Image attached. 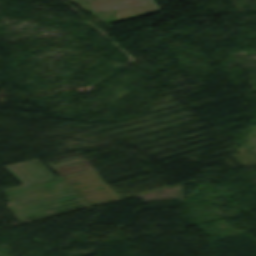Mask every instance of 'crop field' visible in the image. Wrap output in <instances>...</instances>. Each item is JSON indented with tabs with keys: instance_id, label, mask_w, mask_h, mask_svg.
Wrapping results in <instances>:
<instances>
[{
	"instance_id": "crop-field-1",
	"label": "crop field",
	"mask_w": 256,
	"mask_h": 256,
	"mask_svg": "<svg viewBox=\"0 0 256 256\" xmlns=\"http://www.w3.org/2000/svg\"><path fill=\"white\" fill-rule=\"evenodd\" d=\"M3 168L22 185L3 191L12 204L7 208L18 222L88 205L37 159Z\"/></svg>"
},
{
	"instance_id": "crop-field-2",
	"label": "crop field",
	"mask_w": 256,
	"mask_h": 256,
	"mask_svg": "<svg viewBox=\"0 0 256 256\" xmlns=\"http://www.w3.org/2000/svg\"><path fill=\"white\" fill-rule=\"evenodd\" d=\"M90 1L91 13H99L109 9H115V22L158 11L153 0H96Z\"/></svg>"
}]
</instances>
